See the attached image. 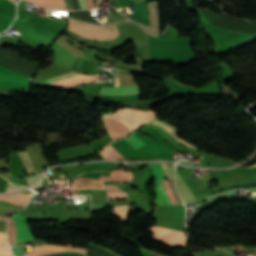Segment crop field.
I'll use <instances>...</instances> for the list:
<instances>
[{
  "label": "crop field",
  "instance_id": "obj_1",
  "mask_svg": "<svg viewBox=\"0 0 256 256\" xmlns=\"http://www.w3.org/2000/svg\"><path fill=\"white\" fill-rule=\"evenodd\" d=\"M68 29L82 37L90 39H115L118 36V29L115 24L109 26H96L69 19Z\"/></svg>",
  "mask_w": 256,
  "mask_h": 256
},
{
  "label": "crop field",
  "instance_id": "obj_2",
  "mask_svg": "<svg viewBox=\"0 0 256 256\" xmlns=\"http://www.w3.org/2000/svg\"><path fill=\"white\" fill-rule=\"evenodd\" d=\"M157 116V113L153 111H141V110H133V109H118L115 114H113L111 117H114L124 123L127 124V126L130 127V129H134L137 126L151 120Z\"/></svg>",
  "mask_w": 256,
  "mask_h": 256
},
{
  "label": "crop field",
  "instance_id": "obj_3",
  "mask_svg": "<svg viewBox=\"0 0 256 256\" xmlns=\"http://www.w3.org/2000/svg\"><path fill=\"white\" fill-rule=\"evenodd\" d=\"M149 231L155 233L153 238L151 237L152 239L157 240L170 247H185L186 242L188 241L184 232L181 231L161 228L157 226H153Z\"/></svg>",
  "mask_w": 256,
  "mask_h": 256
},
{
  "label": "crop field",
  "instance_id": "obj_4",
  "mask_svg": "<svg viewBox=\"0 0 256 256\" xmlns=\"http://www.w3.org/2000/svg\"><path fill=\"white\" fill-rule=\"evenodd\" d=\"M13 220L16 226V242L34 239L26 217H22L16 213L14 214Z\"/></svg>",
  "mask_w": 256,
  "mask_h": 256
},
{
  "label": "crop field",
  "instance_id": "obj_5",
  "mask_svg": "<svg viewBox=\"0 0 256 256\" xmlns=\"http://www.w3.org/2000/svg\"><path fill=\"white\" fill-rule=\"evenodd\" d=\"M148 8L150 12V26L142 25L149 33L159 32V11H158V1L148 2Z\"/></svg>",
  "mask_w": 256,
  "mask_h": 256
},
{
  "label": "crop field",
  "instance_id": "obj_6",
  "mask_svg": "<svg viewBox=\"0 0 256 256\" xmlns=\"http://www.w3.org/2000/svg\"><path fill=\"white\" fill-rule=\"evenodd\" d=\"M168 181H169V184H170V186H171V189H172V191H173V193H174V195H175V197H176L178 203H179V204H183L182 201H181V199H180V197H179V195H178V193H177V191H176V189H175V186H174V183H173V179H170V180H168ZM168 181H167V180L165 181L166 186H167V189H168V192H169V194H170V197H171L173 203H174V204H177V202H176V200H175V198H174V196H173V194H172V192H171V189H170V186H169V184H168ZM165 183H164V181H159V189H160L162 195L164 196V198H165V200H166V202H167V205H170V204H172V202H171V199H170L169 194H168V192H167Z\"/></svg>",
  "mask_w": 256,
  "mask_h": 256
},
{
  "label": "crop field",
  "instance_id": "obj_7",
  "mask_svg": "<svg viewBox=\"0 0 256 256\" xmlns=\"http://www.w3.org/2000/svg\"><path fill=\"white\" fill-rule=\"evenodd\" d=\"M114 86H119L118 78L114 79ZM101 93L124 95L131 93H139L137 86L130 87H103Z\"/></svg>",
  "mask_w": 256,
  "mask_h": 256
},
{
  "label": "crop field",
  "instance_id": "obj_8",
  "mask_svg": "<svg viewBox=\"0 0 256 256\" xmlns=\"http://www.w3.org/2000/svg\"><path fill=\"white\" fill-rule=\"evenodd\" d=\"M70 186H72V188L105 189L103 181L88 178H78L74 180Z\"/></svg>",
  "mask_w": 256,
  "mask_h": 256
},
{
  "label": "crop field",
  "instance_id": "obj_9",
  "mask_svg": "<svg viewBox=\"0 0 256 256\" xmlns=\"http://www.w3.org/2000/svg\"><path fill=\"white\" fill-rule=\"evenodd\" d=\"M132 179V172H127L121 169H116L111 172V177L101 176L99 180H104V182H128Z\"/></svg>",
  "mask_w": 256,
  "mask_h": 256
},
{
  "label": "crop field",
  "instance_id": "obj_10",
  "mask_svg": "<svg viewBox=\"0 0 256 256\" xmlns=\"http://www.w3.org/2000/svg\"><path fill=\"white\" fill-rule=\"evenodd\" d=\"M152 123H154L155 125H157L159 128H161L163 131H165L166 133L172 135L181 145L183 146H187V147H191L193 149L198 150V148L193 147L187 143H185L184 141H182L180 138L177 137V129H175L173 126L155 118L152 121H150Z\"/></svg>",
  "mask_w": 256,
  "mask_h": 256
},
{
  "label": "crop field",
  "instance_id": "obj_11",
  "mask_svg": "<svg viewBox=\"0 0 256 256\" xmlns=\"http://www.w3.org/2000/svg\"><path fill=\"white\" fill-rule=\"evenodd\" d=\"M176 186L185 204L191 203L196 200L177 172H176Z\"/></svg>",
  "mask_w": 256,
  "mask_h": 256
},
{
  "label": "crop field",
  "instance_id": "obj_12",
  "mask_svg": "<svg viewBox=\"0 0 256 256\" xmlns=\"http://www.w3.org/2000/svg\"><path fill=\"white\" fill-rule=\"evenodd\" d=\"M73 75H76V73L74 72H71L69 74H66V75H63V76H58L56 78H53V79H48L46 82H45V86L47 87H50V85L53 83V82H56L62 78H66V77H69V76H73ZM88 76H84V75H76V76H73V77H69V78H66V79H62L56 83H54L51 87H59L60 85L66 83V82H69V81H74V80H78V79H82V78H86Z\"/></svg>",
  "mask_w": 256,
  "mask_h": 256
},
{
  "label": "crop field",
  "instance_id": "obj_13",
  "mask_svg": "<svg viewBox=\"0 0 256 256\" xmlns=\"http://www.w3.org/2000/svg\"><path fill=\"white\" fill-rule=\"evenodd\" d=\"M31 194L0 195V200L26 205ZM21 205V206H22Z\"/></svg>",
  "mask_w": 256,
  "mask_h": 256
},
{
  "label": "crop field",
  "instance_id": "obj_14",
  "mask_svg": "<svg viewBox=\"0 0 256 256\" xmlns=\"http://www.w3.org/2000/svg\"><path fill=\"white\" fill-rule=\"evenodd\" d=\"M104 159H119L123 158V156L112 146L108 145L104 147L101 151H99Z\"/></svg>",
  "mask_w": 256,
  "mask_h": 256
},
{
  "label": "crop field",
  "instance_id": "obj_15",
  "mask_svg": "<svg viewBox=\"0 0 256 256\" xmlns=\"http://www.w3.org/2000/svg\"><path fill=\"white\" fill-rule=\"evenodd\" d=\"M113 208H114L113 215L121 218V220H128L129 205H119Z\"/></svg>",
  "mask_w": 256,
  "mask_h": 256
},
{
  "label": "crop field",
  "instance_id": "obj_16",
  "mask_svg": "<svg viewBox=\"0 0 256 256\" xmlns=\"http://www.w3.org/2000/svg\"><path fill=\"white\" fill-rule=\"evenodd\" d=\"M0 256H12L8 248L5 232H0Z\"/></svg>",
  "mask_w": 256,
  "mask_h": 256
},
{
  "label": "crop field",
  "instance_id": "obj_17",
  "mask_svg": "<svg viewBox=\"0 0 256 256\" xmlns=\"http://www.w3.org/2000/svg\"><path fill=\"white\" fill-rule=\"evenodd\" d=\"M18 153H19V155L22 159V162H23L28 174L30 175V174L36 173L34 168H33L32 163L29 159V156H28L27 152L26 151H21V152H18Z\"/></svg>",
  "mask_w": 256,
  "mask_h": 256
},
{
  "label": "crop field",
  "instance_id": "obj_18",
  "mask_svg": "<svg viewBox=\"0 0 256 256\" xmlns=\"http://www.w3.org/2000/svg\"><path fill=\"white\" fill-rule=\"evenodd\" d=\"M151 167H152V170L154 172L155 180L166 179L165 173H164L160 164H153V165H151Z\"/></svg>",
  "mask_w": 256,
  "mask_h": 256
},
{
  "label": "crop field",
  "instance_id": "obj_19",
  "mask_svg": "<svg viewBox=\"0 0 256 256\" xmlns=\"http://www.w3.org/2000/svg\"><path fill=\"white\" fill-rule=\"evenodd\" d=\"M125 140H126L134 149L145 145L142 141L138 140L134 135L125 138Z\"/></svg>",
  "mask_w": 256,
  "mask_h": 256
},
{
  "label": "crop field",
  "instance_id": "obj_20",
  "mask_svg": "<svg viewBox=\"0 0 256 256\" xmlns=\"http://www.w3.org/2000/svg\"><path fill=\"white\" fill-rule=\"evenodd\" d=\"M154 189H155V192H156V195H157L155 203L156 204H160V205L166 204L163 196L161 195V193H160V191L158 189V181L155 182Z\"/></svg>",
  "mask_w": 256,
  "mask_h": 256
},
{
  "label": "crop field",
  "instance_id": "obj_21",
  "mask_svg": "<svg viewBox=\"0 0 256 256\" xmlns=\"http://www.w3.org/2000/svg\"><path fill=\"white\" fill-rule=\"evenodd\" d=\"M126 193H107L108 200L111 199H125Z\"/></svg>",
  "mask_w": 256,
  "mask_h": 256
},
{
  "label": "crop field",
  "instance_id": "obj_22",
  "mask_svg": "<svg viewBox=\"0 0 256 256\" xmlns=\"http://www.w3.org/2000/svg\"><path fill=\"white\" fill-rule=\"evenodd\" d=\"M162 166H163L167 176H173L174 167L165 165V164H162ZM169 178H172V177H167V179H169Z\"/></svg>",
  "mask_w": 256,
  "mask_h": 256
},
{
  "label": "crop field",
  "instance_id": "obj_23",
  "mask_svg": "<svg viewBox=\"0 0 256 256\" xmlns=\"http://www.w3.org/2000/svg\"><path fill=\"white\" fill-rule=\"evenodd\" d=\"M26 187H20V186H15L13 184H11L10 182H8V186L5 192H14V191H18L21 189H24Z\"/></svg>",
  "mask_w": 256,
  "mask_h": 256
},
{
  "label": "crop field",
  "instance_id": "obj_24",
  "mask_svg": "<svg viewBox=\"0 0 256 256\" xmlns=\"http://www.w3.org/2000/svg\"><path fill=\"white\" fill-rule=\"evenodd\" d=\"M38 175L39 174H34V175H31V176H26L28 184L31 185L34 182V180L37 178Z\"/></svg>",
  "mask_w": 256,
  "mask_h": 256
},
{
  "label": "crop field",
  "instance_id": "obj_25",
  "mask_svg": "<svg viewBox=\"0 0 256 256\" xmlns=\"http://www.w3.org/2000/svg\"><path fill=\"white\" fill-rule=\"evenodd\" d=\"M106 206H108V204H96V205H92V211H97V210H99V209H101V208H104V207H106Z\"/></svg>",
  "mask_w": 256,
  "mask_h": 256
},
{
  "label": "crop field",
  "instance_id": "obj_26",
  "mask_svg": "<svg viewBox=\"0 0 256 256\" xmlns=\"http://www.w3.org/2000/svg\"><path fill=\"white\" fill-rule=\"evenodd\" d=\"M64 1H65L66 9L73 10L70 0H64Z\"/></svg>",
  "mask_w": 256,
  "mask_h": 256
},
{
  "label": "crop field",
  "instance_id": "obj_27",
  "mask_svg": "<svg viewBox=\"0 0 256 256\" xmlns=\"http://www.w3.org/2000/svg\"><path fill=\"white\" fill-rule=\"evenodd\" d=\"M77 209H86L90 208V205H76Z\"/></svg>",
  "mask_w": 256,
  "mask_h": 256
},
{
  "label": "crop field",
  "instance_id": "obj_28",
  "mask_svg": "<svg viewBox=\"0 0 256 256\" xmlns=\"http://www.w3.org/2000/svg\"><path fill=\"white\" fill-rule=\"evenodd\" d=\"M79 2H80V5H81V8H82V9L87 8V7H86L85 0H79Z\"/></svg>",
  "mask_w": 256,
  "mask_h": 256
},
{
  "label": "crop field",
  "instance_id": "obj_29",
  "mask_svg": "<svg viewBox=\"0 0 256 256\" xmlns=\"http://www.w3.org/2000/svg\"><path fill=\"white\" fill-rule=\"evenodd\" d=\"M42 177H41V179L38 181V183L34 186V187H40L41 186V183H42Z\"/></svg>",
  "mask_w": 256,
  "mask_h": 256
},
{
  "label": "crop field",
  "instance_id": "obj_30",
  "mask_svg": "<svg viewBox=\"0 0 256 256\" xmlns=\"http://www.w3.org/2000/svg\"><path fill=\"white\" fill-rule=\"evenodd\" d=\"M92 245V244H91ZM95 246V245H94ZM98 247V246H97ZM99 248H101V247H99ZM102 249H104V248H102ZM105 250H107V249H105ZM109 251V250H108ZM111 252V251H110ZM113 253V252H112ZM113 254H115V253H113ZM116 256H119V255H117V254H115Z\"/></svg>",
  "mask_w": 256,
  "mask_h": 256
}]
</instances>
